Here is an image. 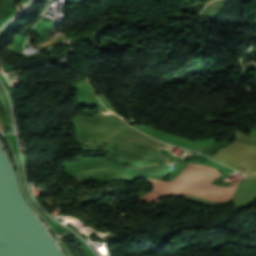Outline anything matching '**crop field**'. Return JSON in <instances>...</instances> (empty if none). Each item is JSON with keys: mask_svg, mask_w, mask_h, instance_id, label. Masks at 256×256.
<instances>
[{"mask_svg": "<svg viewBox=\"0 0 256 256\" xmlns=\"http://www.w3.org/2000/svg\"><path fill=\"white\" fill-rule=\"evenodd\" d=\"M214 148H215V147L208 146V147H206L205 149H214ZM203 151L213 152L214 150H203ZM201 153H203V154H205V155H207V156H209V157L212 156V153H207V152H201Z\"/></svg>", "mask_w": 256, "mask_h": 256, "instance_id": "34b2d1b8", "label": "crop field"}, {"mask_svg": "<svg viewBox=\"0 0 256 256\" xmlns=\"http://www.w3.org/2000/svg\"><path fill=\"white\" fill-rule=\"evenodd\" d=\"M81 117V116H80ZM85 122L104 130L110 135H115L123 128L128 126L115 114L109 112L108 110L98 112L95 117H81ZM108 134V135H109Z\"/></svg>", "mask_w": 256, "mask_h": 256, "instance_id": "8a807250", "label": "crop field"}, {"mask_svg": "<svg viewBox=\"0 0 256 256\" xmlns=\"http://www.w3.org/2000/svg\"><path fill=\"white\" fill-rule=\"evenodd\" d=\"M0 96H1L2 101L5 100V99H7L6 96H5V94H4V91H3L2 88H1V86H0ZM4 102H5V105H6L7 110H8L7 113H8V115H9V117H11V116H10V112H9V108H8V102H7V100L4 101ZM4 102H3V103H4ZM5 105H4V106H5ZM6 107H5V108H6Z\"/></svg>", "mask_w": 256, "mask_h": 256, "instance_id": "ac0d7876", "label": "crop field"}]
</instances>
